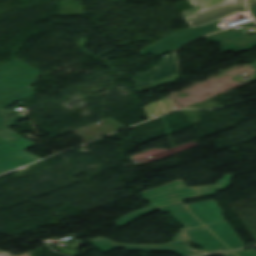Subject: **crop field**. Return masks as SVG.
Listing matches in <instances>:
<instances>
[{
	"mask_svg": "<svg viewBox=\"0 0 256 256\" xmlns=\"http://www.w3.org/2000/svg\"><path fill=\"white\" fill-rule=\"evenodd\" d=\"M213 231L225 244L232 250L244 247L238 240L235 232L232 230L228 222L207 226Z\"/></svg>",
	"mask_w": 256,
	"mask_h": 256,
	"instance_id": "crop-field-11",
	"label": "crop field"
},
{
	"mask_svg": "<svg viewBox=\"0 0 256 256\" xmlns=\"http://www.w3.org/2000/svg\"><path fill=\"white\" fill-rule=\"evenodd\" d=\"M218 22H220V21H217V22L205 25V26H201V27H195V28H191L188 30L177 31L176 33L143 49L139 53L142 55L152 53L154 55L160 56V55L168 53L172 50H176L177 48L183 46L188 41H190L198 36L206 34L210 31L222 30L219 27H217Z\"/></svg>",
	"mask_w": 256,
	"mask_h": 256,
	"instance_id": "crop-field-5",
	"label": "crop field"
},
{
	"mask_svg": "<svg viewBox=\"0 0 256 256\" xmlns=\"http://www.w3.org/2000/svg\"><path fill=\"white\" fill-rule=\"evenodd\" d=\"M35 146L25 138L6 128L0 131V173L40 160L24 151Z\"/></svg>",
	"mask_w": 256,
	"mask_h": 256,
	"instance_id": "crop-field-3",
	"label": "crop field"
},
{
	"mask_svg": "<svg viewBox=\"0 0 256 256\" xmlns=\"http://www.w3.org/2000/svg\"><path fill=\"white\" fill-rule=\"evenodd\" d=\"M248 7L256 4V0H247Z\"/></svg>",
	"mask_w": 256,
	"mask_h": 256,
	"instance_id": "crop-field-19",
	"label": "crop field"
},
{
	"mask_svg": "<svg viewBox=\"0 0 256 256\" xmlns=\"http://www.w3.org/2000/svg\"><path fill=\"white\" fill-rule=\"evenodd\" d=\"M174 109L175 108L173 106V103L170 101H166V102L157 101L155 103H152L144 107V110L149 119Z\"/></svg>",
	"mask_w": 256,
	"mask_h": 256,
	"instance_id": "crop-field-15",
	"label": "crop field"
},
{
	"mask_svg": "<svg viewBox=\"0 0 256 256\" xmlns=\"http://www.w3.org/2000/svg\"><path fill=\"white\" fill-rule=\"evenodd\" d=\"M232 174L226 175L223 179L219 180L215 185L196 187L200 196H212L216 195L217 190H225L230 183Z\"/></svg>",
	"mask_w": 256,
	"mask_h": 256,
	"instance_id": "crop-field-16",
	"label": "crop field"
},
{
	"mask_svg": "<svg viewBox=\"0 0 256 256\" xmlns=\"http://www.w3.org/2000/svg\"><path fill=\"white\" fill-rule=\"evenodd\" d=\"M206 38L214 42L222 43L224 45L221 48L223 52H242L256 46V35L243 36L241 32L237 30L225 31L207 36Z\"/></svg>",
	"mask_w": 256,
	"mask_h": 256,
	"instance_id": "crop-field-7",
	"label": "crop field"
},
{
	"mask_svg": "<svg viewBox=\"0 0 256 256\" xmlns=\"http://www.w3.org/2000/svg\"><path fill=\"white\" fill-rule=\"evenodd\" d=\"M188 1L193 5V8L182 12L184 16L190 15V14H196L198 12L212 8L214 6H217L219 4H222L230 0H188Z\"/></svg>",
	"mask_w": 256,
	"mask_h": 256,
	"instance_id": "crop-field-13",
	"label": "crop field"
},
{
	"mask_svg": "<svg viewBox=\"0 0 256 256\" xmlns=\"http://www.w3.org/2000/svg\"><path fill=\"white\" fill-rule=\"evenodd\" d=\"M180 72L176 54L173 52L166 60L164 67L152 78V84Z\"/></svg>",
	"mask_w": 256,
	"mask_h": 256,
	"instance_id": "crop-field-12",
	"label": "crop field"
},
{
	"mask_svg": "<svg viewBox=\"0 0 256 256\" xmlns=\"http://www.w3.org/2000/svg\"><path fill=\"white\" fill-rule=\"evenodd\" d=\"M89 242L104 253L117 248H126L127 251L176 252L182 256L204 254V252L201 250L192 248L189 243L186 242L182 232L176 234L174 240L166 245L115 244L114 242L105 238H98L90 240Z\"/></svg>",
	"mask_w": 256,
	"mask_h": 256,
	"instance_id": "crop-field-4",
	"label": "crop field"
},
{
	"mask_svg": "<svg viewBox=\"0 0 256 256\" xmlns=\"http://www.w3.org/2000/svg\"><path fill=\"white\" fill-rule=\"evenodd\" d=\"M186 236L196 245L203 247L206 253L230 250L205 227L184 231Z\"/></svg>",
	"mask_w": 256,
	"mask_h": 256,
	"instance_id": "crop-field-8",
	"label": "crop field"
},
{
	"mask_svg": "<svg viewBox=\"0 0 256 256\" xmlns=\"http://www.w3.org/2000/svg\"><path fill=\"white\" fill-rule=\"evenodd\" d=\"M253 65H254V67H255V69H256V62H255V63H253Z\"/></svg>",
	"mask_w": 256,
	"mask_h": 256,
	"instance_id": "crop-field-22",
	"label": "crop field"
},
{
	"mask_svg": "<svg viewBox=\"0 0 256 256\" xmlns=\"http://www.w3.org/2000/svg\"><path fill=\"white\" fill-rule=\"evenodd\" d=\"M245 9L244 0H232L194 16L187 17V20L192 27H195L217 21Z\"/></svg>",
	"mask_w": 256,
	"mask_h": 256,
	"instance_id": "crop-field-6",
	"label": "crop field"
},
{
	"mask_svg": "<svg viewBox=\"0 0 256 256\" xmlns=\"http://www.w3.org/2000/svg\"><path fill=\"white\" fill-rule=\"evenodd\" d=\"M159 210L162 213L169 212L177 222L183 224L185 228L182 230L203 226L194 216L189 213L182 202L161 207Z\"/></svg>",
	"mask_w": 256,
	"mask_h": 256,
	"instance_id": "crop-field-10",
	"label": "crop field"
},
{
	"mask_svg": "<svg viewBox=\"0 0 256 256\" xmlns=\"http://www.w3.org/2000/svg\"><path fill=\"white\" fill-rule=\"evenodd\" d=\"M40 73L18 59L0 66V107L34 94L36 89L29 86ZM6 127L0 109V130Z\"/></svg>",
	"mask_w": 256,
	"mask_h": 256,
	"instance_id": "crop-field-1",
	"label": "crop field"
},
{
	"mask_svg": "<svg viewBox=\"0 0 256 256\" xmlns=\"http://www.w3.org/2000/svg\"><path fill=\"white\" fill-rule=\"evenodd\" d=\"M0 256H10V255L3 253V254H0Z\"/></svg>",
	"mask_w": 256,
	"mask_h": 256,
	"instance_id": "crop-field-21",
	"label": "crop field"
},
{
	"mask_svg": "<svg viewBox=\"0 0 256 256\" xmlns=\"http://www.w3.org/2000/svg\"><path fill=\"white\" fill-rule=\"evenodd\" d=\"M0 253H3V252L0 251Z\"/></svg>",
	"mask_w": 256,
	"mask_h": 256,
	"instance_id": "crop-field-24",
	"label": "crop field"
},
{
	"mask_svg": "<svg viewBox=\"0 0 256 256\" xmlns=\"http://www.w3.org/2000/svg\"><path fill=\"white\" fill-rule=\"evenodd\" d=\"M187 207L205 225L226 221L223 218L224 212L221 210L215 200L187 204Z\"/></svg>",
	"mask_w": 256,
	"mask_h": 256,
	"instance_id": "crop-field-9",
	"label": "crop field"
},
{
	"mask_svg": "<svg viewBox=\"0 0 256 256\" xmlns=\"http://www.w3.org/2000/svg\"><path fill=\"white\" fill-rule=\"evenodd\" d=\"M168 56H164L161 59V63L157 66L151 68V70L147 73H136L133 75V81H136V89H139L145 85L151 83V78L162 68L164 65V61Z\"/></svg>",
	"mask_w": 256,
	"mask_h": 256,
	"instance_id": "crop-field-14",
	"label": "crop field"
},
{
	"mask_svg": "<svg viewBox=\"0 0 256 256\" xmlns=\"http://www.w3.org/2000/svg\"><path fill=\"white\" fill-rule=\"evenodd\" d=\"M235 253L237 256H256V251L246 253L244 250H240V251H236Z\"/></svg>",
	"mask_w": 256,
	"mask_h": 256,
	"instance_id": "crop-field-17",
	"label": "crop field"
},
{
	"mask_svg": "<svg viewBox=\"0 0 256 256\" xmlns=\"http://www.w3.org/2000/svg\"><path fill=\"white\" fill-rule=\"evenodd\" d=\"M222 256H236L235 254H233L232 252L229 253H223L221 254Z\"/></svg>",
	"mask_w": 256,
	"mask_h": 256,
	"instance_id": "crop-field-20",
	"label": "crop field"
},
{
	"mask_svg": "<svg viewBox=\"0 0 256 256\" xmlns=\"http://www.w3.org/2000/svg\"><path fill=\"white\" fill-rule=\"evenodd\" d=\"M141 195L153 205L124 216L116 222V225L122 227L137 217L144 216L158 210L157 207L180 202L184 199L199 197L196 188H186L182 180L145 192Z\"/></svg>",
	"mask_w": 256,
	"mask_h": 256,
	"instance_id": "crop-field-2",
	"label": "crop field"
},
{
	"mask_svg": "<svg viewBox=\"0 0 256 256\" xmlns=\"http://www.w3.org/2000/svg\"><path fill=\"white\" fill-rule=\"evenodd\" d=\"M249 9H250L253 17L256 19V6L250 7Z\"/></svg>",
	"mask_w": 256,
	"mask_h": 256,
	"instance_id": "crop-field-18",
	"label": "crop field"
},
{
	"mask_svg": "<svg viewBox=\"0 0 256 256\" xmlns=\"http://www.w3.org/2000/svg\"><path fill=\"white\" fill-rule=\"evenodd\" d=\"M215 255H218V254H215ZM207 256H214V255H207Z\"/></svg>",
	"mask_w": 256,
	"mask_h": 256,
	"instance_id": "crop-field-23",
	"label": "crop field"
}]
</instances>
